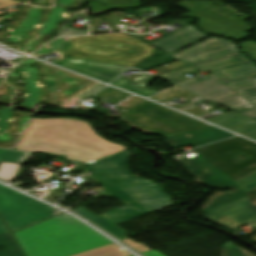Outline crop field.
<instances>
[{
	"label": "crop field",
	"instance_id": "obj_1",
	"mask_svg": "<svg viewBox=\"0 0 256 256\" xmlns=\"http://www.w3.org/2000/svg\"><path fill=\"white\" fill-rule=\"evenodd\" d=\"M199 155L180 163L201 184L239 189L216 193L203 212L247 197L256 208V189L246 193L235 181L256 171V144L240 137L193 150Z\"/></svg>",
	"mask_w": 256,
	"mask_h": 256
},
{
	"label": "crop field",
	"instance_id": "obj_2",
	"mask_svg": "<svg viewBox=\"0 0 256 256\" xmlns=\"http://www.w3.org/2000/svg\"><path fill=\"white\" fill-rule=\"evenodd\" d=\"M126 148L100 137L89 122L77 119H31L15 150L66 156L90 164Z\"/></svg>",
	"mask_w": 256,
	"mask_h": 256
},
{
	"label": "crop field",
	"instance_id": "obj_3",
	"mask_svg": "<svg viewBox=\"0 0 256 256\" xmlns=\"http://www.w3.org/2000/svg\"><path fill=\"white\" fill-rule=\"evenodd\" d=\"M27 256H71L112 243L65 214L14 232Z\"/></svg>",
	"mask_w": 256,
	"mask_h": 256
},
{
	"label": "crop field",
	"instance_id": "obj_4",
	"mask_svg": "<svg viewBox=\"0 0 256 256\" xmlns=\"http://www.w3.org/2000/svg\"><path fill=\"white\" fill-rule=\"evenodd\" d=\"M128 151L87 165L83 172L89 170L100 182L99 184L124 204L139 201L153 211L170 207L171 200L151 180H143L128 172L126 162Z\"/></svg>",
	"mask_w": 256,
	"mask_h": 256
},
{
	"label": "crop field",
	"instance_id": "obj_5",
	"mask_svg": "<svg viewBox=\"0 0 256 256\" xmlns=\"http://www.w3.org/2000/svg\"><path fill=\"white\" fill-rule=\"evenodd\" d=\"M172 56L189 65L171 73L158 76V78L172 86L188 81L183 76L196 69L208 71L231 63L248 60L238 53L234 43L216 37L203 40Z\"/></svg>",
	"mask_w": 256,
	"mask_h": 256
},
{
	"label": "crop field",
	"instance_id": "obj_6",
	"mask_svg": "<svg viewBox=\"0 0 256 256\" xmlns=\"http://www.w3.org/2000/svg\"><path fill=\"white\" fill-rule=\"evenodd\" d=\"M121 120L143 134H157L165 138L210 127L186 115L175 113L147 100L124 113Z\"/></svg>",
	"mask_w": 256,
	"mask_h": 256
},
{
	"label": "crop field",
	"instance_id": "obj_7",
	"mask_svg": "<svg viewBox=\"0 0 256 256\" xmlns=\"http://www.w3.org/2000/svg\"><path fill=\"white\" fill-rule=\"evenodd\" d=\"M209 72L218 78L229 81L230 87L256 105V66L254 62H243ZM238 113L256 120V108Z\"/></svg>",
	"mask_w": 256,
	"mask_h": 256
},
{
	"label": "crop field",
	"instance_id": "obj_8",
	"mask_svg": "<svg viewBox=\"0 0 256 256\" xmlns=\"http://www.w3.org/2000/svg\"><path fill=\"white\" fill-rule=\"evenodd\" d=\"M180 87L208 98L220 105H223L233 111L243 107H252V104L237 95L225 84L209 75L197 81H191Z\"/></svg>",
	"mask_w": 256,
	"mask_h": 256
},
{
	"label": "crop field",
	"instance_id": "obj_9",
	"mask_svg": "<svg viewBox=\"0 0 256 256\" xmlns=\"http://www.w3.org/2000/svg\"><path fill=\"white\" fill-rule=\"evenodd\" d=\"M74 211L120 240L126 239V237H124L123 235L127 232L120 229L116 225L125 223L127 221H130L132 219L152 212L150 209L146 208L145 206L138 202L125 205L124 210L116 209L99 216L91 213L90 211L82 207Z\"/></svg>",
	"mask_w": 256,
	"mask_h": 256
},
{
	"label": "crop field",
	"instance_id": "obj_10",
	"mask_svg": "<svg viewBox=\"0 0 256 256\" xmlns=\"http://www.w3.org/2000/svg\"><path fill=\"white\" fill-rule=\"evenodd\" d=\"M58 65L106 83L110 82L128 68L127 66L95 62L72 57L65 59Z\"/></svg>",
	"mask_w": 256,
	"mask_h": 256
},
{
	"label": "crop field",
	"instance_id": "obj_11",
	"mask_svg": "<svg viewBox=\"0 0 256 256\" xmlns=\"http://www.w3.org/2000/svg\"><path fill=\"white\" fill-rule=\"evenodd\" d=\"M63 213L41 202L2 215L11 232Z\"/></svg>",
	"mask_w": 256,
	"mask_h": 256
},
{
	"label": "crop field",
	"instance_id": "obj_12",
	"mask_svg": "<svg viewBox=\"0 0 256 256\" xmlns=\"http://www.w3.org/2000/svg\"><path fill=\"white\" fill-rule=\"evenodd\" d=\"M208 35L199 32L191 24L171 35H168L160 40H157L149 45L160 49L168 54H171L179 49H182L192 43H195Z\"/></svg>",
	"mask_w": 256,
	"mask_h": 256
},
{
	"label": "crop field",
	"instance_id": "obj_13",
	"mask_svg": "<svg viewBox=\"0 0 256 256\" xmlns=\"http://www.w3.org/2000/svg\"><path fill=\"white\" fill-rule=\"evenodd\" d=\"M224 215H227L242 223L251 224L256 222V209L252 206L247 198L206 212L204 213L203 219L213 222Z\"/></svg>",
	"mask_w": 256,
	"mask_h": 256
},
{
	"label": "crop field",
	"instance_id": "obj_14",
	"mask_svg": "<svg viewBox=\"0 0 256 256\" xmlns=\"http://www.w3.org/2000/svg\"><path fill=\"white\" fill-rule=\"evenodd\" d=\"M231 136L235 135L219 130L214 127H210L199 131L187 133L184 135L168 138L165 139V142L169 144L173 149H176L188 144L197 147L203 144H207Z\"/></svg>",
	"mask_w": 256,
	"mask_h": 256
},
{
	"label": "crop field",
	"instance_id": "obj_15",
	"mask_svg": "<svg viewBox=\"0 0 256 256\" xmlns=\"http://www.w3.org/2000/svg\"><path fill=\"white\" fill-rule=\"evenodd\" d=\"M205 120L256 140V121L246 118L236 112Z\"/></svg>",
	"mask_w": 256,
	"mask_h": 256
},
{
	"label": "crop field",
	"instance_id": "obj_16",
	"mask_svg": "<svg viewBox=\"0 0 256 256\" xmlns=\"http://www.w3.org/2000/svg\"><path fill=\"white\" fill-rule=\"evenodd\" d=\"M38 202L0 185V215Z\"/></svg>",
	"mask_w": 256,
	"mask_h": 256
},
{
	"label": "crop field",
	"instance_id": "obj_17",
	"mask_svg": "<svg viewBox=\"0 0 256 256\" xmlns=\"http://www.w3.org/2000/svg\"><path fill=\"white\" fill-rule=\"evenodd\" d=\"M153 79H154V77L142 73L133 82L120 77L115 82H113L112 85H115L117 87L123 88L125 90L134 92V93L142 95V96H150V95L156 93L157 91L151 90L144 86L147 85Z\"/></svg>",
	"mask_w": 256,
	"mask_h": 256
},
{
	"label": "crop field",
	"instance_id": "obj_18",
	"mask_svg": "<svg viewBox=\"0 0 256 256\" xmlns=\"http://www.w3.org/2000/svg\"><path fill=\"white\" fill-rule=\"evenodd\" d=\"M74 256H132L130 253L112 243Z\"/></svg>",
	"mask_w": 256,
	"mask_h": 256
},
{
	"label": "crop field",
	"instance_id": "obj_19",
	"mask_svg": "<svg viewBox=\"0 0 256 256\" xmlns=\"http://www.w3.org/2000/svg\"><path fill=\"white\" fill-rule=\"evenodd\" d=\"M0 246L5 247V250L0 252V256H24L11 234L0 235Z\"/></svg>",
	"mask_w": 256,
	"mask_h": 256
},
{
	"label": "crop field",
	"instance_id": "obj_20",
	"mask_svg": "<svg viewBox=\"0 0 256 256\" xmlns=\"http://www.w3.org/2000/svg\"><path fill=\"white\" fill-rule=\"evenodd\" d=\"M30 155L31 154L29 153H21L13 150L0 149V161L4 162L22 163Z\"/></svg>",
	"mask_w": 256,
	"mask_h": 256
},
{
	"label": "crop field",
	"instance_id": "obj_21",
	"mask_svg": "<svg viewBox=\"0 0 256 256\" xmlns=\"http://www.w3.org/2000/svg\"><path fill=\"white\" fill-rule=\"evenodd\" d=\"M222 250V256H254L230 241L222 244Z\"/></svg>",
	"mask_w": 256,
	"mask_h": 256
},
{
	"label": "crop field",
	"instance_id": "obj_22",
	"mask_svg": "<svg viewBox=\"0 0 256 256\" xmlns=\"http://www.w3.org/2000/svg\"><path fill=\"white\" fill-rule=\"evenodd\" d=\"M237 183L246 191L256 188V172L237 181Z\"/></svg>",
	"mask_w": 256,
	"mask_h": 256
},
{
	"label": "crop field",
	"instance_id": "obj_23",
	"mask_svg": "<svg viewBox=\"0 0 256 256\" xmlns=\"http://www.w3.org/2000/svg\"><path fill=\"white\" fill-rule=\"evenodd\" d=\"M123 242L126 243L127 245H129L130 247L134 248L135 250H137L140 253L150 251L148 248L144 247L141 244H137L130 239L123 240Z\"/></svg>",
	"mask_w": 256,
	"mask_h": 256
},
{
	"label": "crop field",
	"instance_id": "obj_24",
	"mask_svg": "<svg viewBox=\"0 0 256 256\" xmlns=\"http://www.w3.org/2000/svg\"><path fill=\"white\" fill-rule=\"evenodd\" d=\"M20 3H22V2H18V1H14V0H0V9L9 7V6H13V5H17Z\"/></svg>",
	"mask_w": 256,
	"mask_h": 256
},
{
	"label": "crop field",
	"instance_id": "obj_25",
	"mask_svg": "<svg viewBox=\"0 0 256 256\" xmlns=\"http://www.w3.org/2000/svg\"><path fill=\"white\" fill-rule=\"evenodd\" d=\"M144 256H164L163 254H161L159 251H153V252H149V253H145L143 254Z\"/></svg>",
	"mask_w": 256,
	"mask_h": 256
},
{
	"label": "crop field",
	"instance_id": "obj_26",
	"mask_svg": "<svg viewBox=\"0 0 256 256\" xmlns=\"http://www.w3.org/2000/svg\"><path fill=\"white\" fill-rule=\"evenodd\" d=\"M3 233H9V231L7 230V228L5 227V225L0 219V234H3Z\"/></svg>",
	"mask_w": 256,
	"mask_h": 256
},
{
	"label": "crop field",
	"instance_id": "obj_27",
	"mask_svg": "<svg viewBox=\"0 0 256 256\" xmlns=\"http://www.w3.org/2000/svg\"><path fill=\"white\" fill-rule=\"evenodd\" d=\"M252 227L256 228V224L252 225Z\"/></svg>",
	"mask_w": 256,
	"mask_h": 256
}]
</instances>
